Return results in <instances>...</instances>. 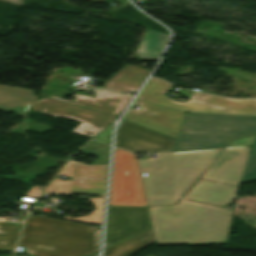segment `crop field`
Masks as SVG:
<instances>
[{"label": "crop field", "mask_w": 256, "mask_h": 256, "mask_svg": "<svg viewBox=\"0 0 256 256\" xmlns=\"http://www.w3.org/2000/svg\"><path fill=\"white\" fill-rule=\"evenodd\" d=\"M32 110L55 117H66L81 121L72 132L92 138L117 117L101 114L50 98L37 100Z\"/></svg>", "instance_id": "8"}, {"label": "crop field", "mask_w": 256, "mask_h": 256, "mask_svg": "<svg viewBox=\"0 0 256 256\" xmlns=\"http://www.w3.org/2000/svg\"><path fill=\"white\" fill-rule=\"evenodd\" d=\"M36 96L33 91L0 85V111L27 116Z\"/></svg>", "instance_id": "15"}, {"label": "crop field", "mask_w": 256, "mask_h": 256, "mask_svg": "<svg viewBox=\"0 0 256 256\" xmlns=\"http://www.w3.org/2000/svg\"><path fill=\"white\" fill-rule=\"evenodd\" d=\"M174 140L122 120L115 146L134 153L172 151Z\"/></svg>", "instance_id": "11"}, {"label": "crop field", "mask_w": 256, "mask_h": 256, "mask_svg": "<svg viewBox=\"0 0 256 256\" xmlns=\"http://www.w3.org/2000/svg\"><path fill=\"white\" fill-rule=\"evenodd\" d=\"M37 187H33L25 196L26 197H35L40 191L36 190Z\"/></svg>", "instance_id": "25"}, {"label": "crop field", "mask_w": 256, "mask_h": 256, "mask_svg": "<svg viewBox=\"0 0 256 256\" xmlns=\"http://www.w3.org/2000/svg\"><path fill=\"white\" fill-rule=\"evenodd\" d=\"M139 167L140 169H155L157 168L156 160H144L139 161Z\"/></svg>", "instance_id": "24"}, {"label": "crop field", "mask_w": 256, "mask_h": 256, "mask_svg": "<svg viewBox=\"0 0 256 256\" xmlns=\"http://www.w3.org/2000/svg\"><path fill=\"white\" fill-rule=\"evenodd\" d=\"M221 150L160 154V170H143L147 198L181 197Z\"/></svg>", "instance_id": "3"}, {"label": "crop field", "mask_w": 256, "mask_h": 256, "mask_svg": "<svg viewBox=\"0 0 256 256\" xmlns=\"http://www.w3.org/2000/svg\"><path fill=\"white\" fill-rule=\"evenodd\" d=\"M149 70L127 64L111 77L104 87L123 93L136 91L148 75Z\"/></svg>", "instance_id": "16"}, {"label": "crop field", "mask_w": 256, "mask_h": 256, "mask_svg": "<svg viewBox=\"0 0 256 256\" xmlns=\"http://www.w3.org/2000/svg\"><path fill=\"white\" fill-rule=\"evenodd\" d=\"M21 224L0 222V249L10 250L14 247Z\"/></svg>", "instance_id": "20"}, {"label": "crop field", "mask_w": 256, "mask_h": 256, "mask_svg": "<svg viewBox=\"0 0 256 256\" xmlns=\"http://www.w3.org/2000/svg\"><path fill=\"white\" fill-rule=\"evenodd\" d=\"M250 148H224L220 157L201 178L232 186H239Z\"/></svg>", "instance_id": "12"}, {"label": "crop field", "mask_w": 256, "mask_h": 256, "mask_svg": "<svg viewBox=\"0 0 256 256\" xmlns=\"http://www.w3.org/2000/svg\"><path fill=\"white\" fill-rule=\"evenodd\" d=\"M111 131H112V126H110L109 128H107L103 133H101L97 138H95V140H99L105 143H109L110 144V140H111Z\"/></svg>", "instance_id": "23"}, {"label": "crop field", "mask_w": 256, "mask_h": 256, "mask_svg": "<svg viewBox=\"0 0 256 256\" xmlns=\"http://www.w3.org/2000/svg\"><path fill=\"white\" fill-rule=\"evenodd\" d=\"M178 199L146 200L147 206L175 204Z\"/></svg>", "instance_id": "22"}, {"label": "crop field", "mask_w": 256, "mask_h": 256, "mask_svg": "<svg viewBox=\"0 0 256 256\" xmlns=\"http://www.w3.org/2000/svg\"><path fill=\"white\" fill-rule=\"evenodd\" d=\"M110 206L146 207L137 157L117 148Z\"/></svg>", "instance_id": "7"}, {"label": "crop field", "mask_w": 256, "mask_h": 256, "mask_svg": "<svg viewBox=\"0 0 256 256\" xmlns=\"http://www.w3.org/2000/svg\"><path fill=\"white\" fill-rule=\"evenodd\" d=\"M94 91L97 95L95 98L76 93L74 94L76 99L73 102L54 96L50 98L113 116L120 115L131 100V97L116 94L104 89H94Z\"/></svg>", "instance_id": "13"}, {"label": "crop field", "mask_w": 256, "mask_h": 256, "mask_svg": "<svg viewBox=\"0 0 256 256\" xmlns=\"http://www.w3.org/2000/svg\"><path fill=\"white\" fill-rule=\"evenodd\" d=\"M253 145V148L248 155L244 173L242 176L241 183L249 182L256 180V134L250 135L248 137L235 140L229 143L228 147L231 146H250ZM240 183V184H241Z\"/></svg>", "instance_id": "19"}, {"label": "crop field", "mask_w": 256, "mask_h": 256, "mask_svg": "<svg viewBox=\"0 0 256 256\" xmlns=\"http://www.w3.org/2000/svg\"><path fill=\"white\" fill-rule=\"evenodd\" d=\"M88 1H91V2H100L101 0H88Z\"/></svg>", "instance_id": "28"}, {"label": "crop field", "mask_w": 256, "mask_h": 256, "mask_svg": "<svg viewBox=\"0 0 256 256\" xmlns=\"http://www.w3.org/2000/svg\"><path fill=\"white\" fill-rule=\"evenodd\" d=\"M238 188L199 179L183 198L224 206L236 198Z\"/></svg>", "instance_id": "14"}, {"label": "crop field", "mask_w": 256, "mask_h": 256, "mask_svg": "<svg viewBox=\"0 0 256 256\" xmlns=\"http://www.w3.org/2000/svg\"><path fill=\"white\" fill-rule=\"evenodd\" d=\"M173 85L150 78L138 99L193 112L256 115V99H229L211 94L193 92L190 101L177 103L165 96Z\"/></svg>", "instance_id": "5"}, {"label": "crop field", "mask_w": 256, "mask_h": 256, "mask_svg": "<svg viewBox=\"0 0 256 256\" xmlns=\"http://www.w3.org/2000/svg\"><path fill=\"white\" fill-rule=\"evenodd\" d=\"M155 242L153 232L150 231L126 242L105 250L104 256H130L133 253Z\"/></svg>", "instance_id": "18"}, {"label": "crop field", "mask_w": 256, "mask_h": 256, "mask_svg": "<svg viewBox=\"0 0 256 256\" xmlns=\"http://www.w3.org/2000/svg\"><path fill=\"white\" fill-rule=\"evenodd\" d=\"M151 228L146 208L109 207L106 246Z\"/></svg>", "instance_id": "10"}, {"label": "crop field", "mask_w": 256, "mask_h": 256, "mask_svg": "<svg viewBox=\"0 0 256 256\" xmlns=\"http://www.w3.org/2000/svg\"><path fill=\"white\" fill-rule=\"evenodd\" d=\"M108 146L92 141L80 151L99 158L90 166L68 162L71 179L62 181L56 177L44 192L104 196L108 171Z\"/></svg>", "instance_id": "6"}, {"label": "crop field", "mask_w": 256, "mask_h": 256, "mask_svg": "<svg viewBox=\"0 0 256 256\" xmlns=\"http://www.w3.org/2000/svg\"><path fill=\"white\" fill-rule=\"evenodd\" d=\"M62 175H68L69 176V172H68V165H66V167L61 171Z\"/></svg>", "instance_id": "27"}, {"label": "crop field", "mask_w": 256, "mask_h": 256, "mask_svg": "<svg viewBox=\"0 0 256 256\" xmlns=\"http://www.w3.org/2000/svg\"><path fill=\"white\" fill-rule=\"evenodd\" d=\"M157 244H223L232 210L180 200L174 206L150 207Z\"/></svg>", "instance_id": "1"}, {"label": "crop field", "mask_w": 256, "mask_h": 256, "mask_svg": "<svg viewBox=\"0 0 256 256\" xmlns=\"http://www.w3.org/2000/svg\"><path fill=\"white\" fill-rule=\"evenodd\" d=\"M92 256H97V253H96V254H94V255H92Z\"/></svg>", "instance_id": "29"}, {"label": "crop field", "mask_w": 256, "mask_h": 256, "mask_svg": "<svg viewBox=\"0 0 256 256\" xmlns=\"http://www.w3.org/2000/svg\"><path fill=\"white\" fill-rule=\"evenodd\" d=\"M89 200L94 205V210L90 215L79 217V218H72L68 216H64L62 218L101 225L104 199L89 198Z\"/></svg>", "instance_id": "21"}, {"label": "crop field", "mask_w": 256, "mask_h": 256, "mask_svg": "<svg viewBox=\"0 0 256 256\" xmlns=\"http://www.w3.org/2000/svg\"><path fill=\"white\" fill-rule=\"evenodd\" d=\"M175 150L223 147L230 139L256 132V116L185 114Z\"/></svg>", "instance_id": "4"}, {"label": "crop field", "mask_w": 256, "mask_h": 256, "mask_svg": "<svg viewBox=\"0 0 256 256\" xmlns=\"http://www.w3.org/2000/svg\"><path fill=\"white\" fill-rule=\"evenodd\" d=\"M135 104L141 105L139 110L129 109L125 120L142 125L144 127L177 137L184 111L156 105L142 100H135Z\"/></svg>", "instance_id": "9"}, {"label": "crop field", "mask_w": 256, "mask_h": 256, "mask_svg": "<svg viewBox=\"0 0 256 256\" xmlns=\"http://www.w3.org/2000/svg\"><path fill=\"white\" fill-rule=\"evenodd\" d=\"M169 39L168 35L148 29L137 53L139 57L159 58Z\"/></svg>", "instance_id": "17"}, {"label": "crop field", "mask_w": 256, "mask_h": 256, "mask_svg": "<svg viewBox=\"0 0 256 256\" xmlns=\"http://www.w3.org/2000/svg\"><path fill=\"white\" fill-rule=\"evenodd\" d=\"M100 228L28 216L19 246L33 256H85L98 251Z\"/></svg>", "instance_id": "2"}, {"label": "crop field", "mask_w": 256, "mask_h": 256, "mask_svg": "<svg viewBox=\"0 0 256 256\" xmlns=\"http://www.w3.org/2000/svg\"><path fill=\"white\" fill-rule=\"evenodd\" d=\"M4 1L11 2V3L22 6V0H4Z\"/></svg>", "instance_id": "26"}]
</instances>
